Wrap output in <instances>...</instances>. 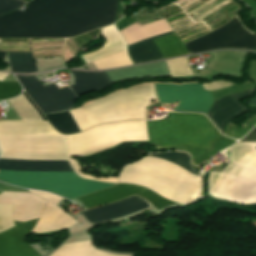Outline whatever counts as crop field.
Listing matches in <instances>:
<instances>
[{"label": "crop field", "instance_id": "obj_27", "mask_svg": "<svg viewBox=\"0 0 256 256\" xmlns=\"http://www.w3.org/2000/svg\"><path fill=\"white\" fill-rule=\"evenodd\" d=\"M229 85H233V83L228 82V81H222V80H218V81H214L211 83H207V84H203L204 89L206 90H216L225 86H229Z\"/></svg>", "mask_w": 256, "mask_h": 256}, {"label": "crop field", "instance_id": "obj_12", "mask_svg": "<svg viewBox=\"0 0 256 256\" xmlns=\"http://www.w3.org/2000/svg\"><path fill=\"white\" fill-rule=\"evenodd\" d=\"M133 194L142 196L143 198L151 202L157 210L175 203L156 195L155 193L146 188L121 183L110 189L100 191L88 196L80 197V200L89 209L98 205L129 197Z\"/></svg>", "mask_w": 256, "mask_h": 256}, {"label": "crop field", "instance_id": "obj_1", "mask_svg": "<svg viewBox=\"0 0 256 256\" xmlns=\"http://www.w3.org/2000/svg\"><path fill=\"white\" fill-rule=\"evenodd\" d=\"M117 0H33L0 17V38L71 37L113 22Z\"/></svg>", "mask_w": 256, "mask_h": 256}, {"label": "crop field", "instance_id": "obj_28", "mask_svg": "<svg viewBox=\"0 0 256 256\" xmlns=\"http://www.w3.org/2000/svg\"><path fill=\"white\" fill-rule=\"evenodd\" d=\"M241 142H256V126L238 143Z\"/></svg>", "mask_w": 256, "mask_h": 256}, {"label": "crop field", "instance_id": "obj_7", "mask_svg": "<svg viewBox=\"0 0 256 256\" xmlns=\"http://www.w3.org/2000/svg\"><path fill=\"white\" fill-rule=\"evenodd\" d=\"M69 71L74 85L60 89L54 84L43 87L34 75L16 77L44 115L72 109L76 96L112 86L105 72Z\"/></svg>", "mask_w": 256, "mask_h": 256}, {"label": "crop field", "instance_id": "obj_24", "mask_svg": "<svg viewBox=\"0 0 256 256\" xmlns=\"http://www.w3.org/2000/svg\"><path fill=\"white\" fill-rule=\"evenodd\" d=\"M21 93L18 82H0V99L15 97Z\"/></svg>", "mask_w": 256, "mask_h": 256}, {"label": "crop field", "instance_id": "obj_17", "mask_svg": "<svg viewBox=\"0 0 256 256\" xmlns=\"http://www.w3.org/2000/svg\"><path fill=\"white\" fill-rule=\"evenodd\" d=\"M51 256H127L116 255L97 251L92 245V241H83L62 245Z\"/></svg>", "mask_w": 256, "mask_h": 256}, {"label": "crop field", "instance_id": "obj_34", "mask_svg": "<svg viewBox=\"0 0 256 256\" xmlns=\"http://www.w3.org/2000/svg\"><path fill=\"white\" fill-rule=\"evenodd\" d=\"M24 1H27V2H29L30 0H24Z\"/></svg>", "mask_w": 256, "mask_h": 256}, {"label": "crop field", "instance_id": "obj_29", "mask_svg": "<svg viewBox=\"0 0 256 256\" xmlns=\"http://www.w3.org/2000/svg\"><path fill=\"white\" fill-rule=\"evenodd\" d=\"M0 191L27 192L24 189L15 188V187L4 185V184H1V183H0Z\"/></svg>", "mask_w": 256, "mask_h": 256}, {"label": "crop field", "instance_id": "obj_20", "mask_svg": "<svg viewBox=\"0 0 256 256\" xmlns=\"http://www.w3.org/2000/svg\"><path fill=\"white\" fill-rule=\"evenodd\" d=\"M45 117L54 128H56L58 131L64 134L79 131V129L77 128L76 124L74 123L68 112L50 114L46 115Z\"/></svg>", "mask_w": 256, "mask_h": 256}, {"label": "crop field", "instance_id": "obj_2", "mask_svg": "<svg viewBox=\"0 0 256 256\" xmlns=\"http://www.w3.org/2000/svg\"><path fill=\"white\" fill-rule=\"evenodd\" d=\"M189 168L190 156L182 152L150 153ZM147 155L125 166L119 182L147 187L153 192L175 202L186 203L199 193L200 175L160 157Z\"/></svg>", "mask_w": 256, "mask_h": 256}, {"label": "crop field", "instance_id": "obj_14", "mask_svg": "<svg viewBox=\"0 0 256 256\" xmlns=\"http://www.w3.org/2000/svg\"><path fill=\"white\" fill-rule=\"evenodd\" d=\"M244 112H246V108L229 95L215 102L208 111L207 116L218 130L223 132L227 122L243 115Z\"/></svg>", "mask_w": 256, "mask_h": 256}, {"label": "crop field", "instance_id": "obj_31", "mask_svg": "<svg viewBox=\"0 0 256 256\" xmlns=\"http://www.w3.org/2000/svg\"><path fill=\"white\" fill-rule=\"evenodd\" d=\"M24 95V97L27 99V101L31 104V106L35 109V111L40 115L41 118H43L44 116L40 113V111L34 106V104L30 101V99L28 98V96L25 93H22Z\"/></svg>", "mask_w": 256, "mask_h": 256}, {"label": "crop field", "instance_id": "obj_18", "mask_svg": "<svg viewBox=\"0 0 256 256\" xmlns=\"http://www.w3.org/2000/svg\"><path fill=\"white\" fill-rule=\"evenodd\" d=\"M233 143H235L234 140L221 135L220 138L211 145V149L210 150L207 149L209 150L208 152H206L207 150L188 148V147H179V148H176V150H181V151L190 153V155H192V163L206 152L202 157H200L196 162L193 163L195 165H198V164H201L202 161L212 157L214 154L220 152L226 147L232 145Z\"/></svg>", "mask_w": 256, "mask_h": 256}, {"label": "crop field", "instance_id": "obj_32", "mask_svg": "<svg viewBox=\"0 0 256 256\" xmlns=\"http://www.w3.org/2000/svg\"><path fill=\"white\" fill-rule=\"evenodd\" d=\"M8 74L7 73H1L0 72V81L5 78Z\"/></svg>", "mask_w": 256, "mask_h": 256}, {"label": "crop field", "instance_id": "obj_6", "mask_svg": "<svg viewBox=\"0 0 256 256\" xmlns=\"http://www.w3.org/2000/svg\"><path fill=\"white\" fill-rule=\"evenodd\" d=\"M147 125L150 143L158 149L182 145L207 149L221 135L202 114L169 113L167 119Z\"/></svg>", "mask_w": 256, "mask_h": 256}, {"label": "crop field", "instance_id": "obj_3", "mask_svg": "<svg viewBox=\"0 0 256 256\" xmlns=\"http://www.w3.org/2000/svg\"><path fill=\"white\" fill-rule=\"evenodd\" d=\"M0 169L31 172H73L68 161L0 159ZM0 180L12 184L49 190L70 199L109 188L115 184L90 181L75 173H28L0 171Z\"/></svg>", "mask_w": 256, "mask_h": 256}, {"label": "crop field", "instance_id": "obj_16", "mask_svg": "<svg viewBox=\"0 0 256 256\" xmlns=\"http://www.w3.org/2000/svg\"><path fill=\"white\" fill-rule=\"evenodd\" d=\"M173 33L168 31L128 46V53L134 64L162 59L163 56L151 40Z\"/></svg>", "mask_w": 256, "mask_h": 256}, {"label": "crop field", "instance_id": "obj_30", "mask_svg": "<svg viewBox=\"0 0 256 256\" xmlns=\"http://www.w3.org/2000/svg\"><path fill=\"white\" fill-rule=\"evenodd\" d=\"M251 90L250 91H246V92H242V93H238V94H234V97L237 99V101L243 99V98H247V97H251Z\"/></svg>", "mask_w": 256, "mask_h": 256}, {"label": "crop field", "instance_id": "obj_10", "mask_svg": "<svg viewBox=\"0 0 256 256\" xmlns=\"http://www.w3.org/2000/svg\"><path fill=\"white\" fill-rule=\"evenodd\" d=\"M121 141H148L146 121H123L98 125L67 136L69 157L85 156Z\"/></svg>", "mask_w": 256, "mask_h": 256}, {"label": "crop field", "instance_id": "obj_11", "mask_svg": "<svg viewBox=\"0 0 256 256\" xmlns=\"http://www.w3.org/2000/svg\"><path fill=\"white\" fill-rule=\"evenodd\" d=\"M159 102L171 104L178 102L174 110L202 111L207 113L213 105L212 93L204 91L200 83L178 85L153 84Z\"/></svg>", "mask_w": 256, "mask_h": 256}, {"label": "crop field", "instance_id": "obj_25", "mask_svg": "<svg viewBox=\"0 0 256 256\" xmlns=\"http://www.w3.org/2000/svg\"><path fill=\"white\" fill-rule=\"evenodd\" d=\"M26 2L20 0H0V15H4L14 9H18Z\"/></svg>", "mask_w": 256, "mask_h": 256}, {"label": "crop field", "instance_id": "obj_33", "mask_svg": "<svg viewBox=\"0 0 256 256\" xmlns=\"http://www.w3.org/2000/svg\"><path fill=\"white\" fill-rule=\"evenodd\" d=\"M5 53L6 52H0V58H4L5 57Z\"/></svg>", "mask_w": 256, "mask_h": 256}, {"label": "crop field", "instance_id": "obj_22", "mask_svg": "<svg viewBox=\"0 0 256 256\" xmlns=\"http://www.w3.org/2000/svg\"><path fill=\"white\" fill-rule=\"evenodd\" d=\"M187 61H188L187 57L166 61L168 65L170 77L192 75L190 69L186 66Z\"/></svg>", "mask_w": 256, "mask_h": 256}, {"label": "crop field", "instance_id": "obj_19", "mask_svg": "<svg viewBox=\"0 0 256 256\" xmlns=\"http://www.w3.org/2000/svg\"><path fill=\"white\" fill-rule=\"evenodd\" d=\"M7 56L12 72H37L31 52H7Z\"/></svg>", "mask_w": 256, "mask_h": 256}, {"label": "crop field", "instance_id": "obj_9", "mask_svg": "<svg viewBox=\"0 0 256 256\" xmlns=\"http://www.w3.org/2000/svg\"><path fill=\"white\" fill-rule=\"evenodd\" d=\"M28 191L48 202L41 213L39 221L35 219L0 233V256H39L25 242L37 221L38 223L32 233L64 229L77 222L71 216L55 207L62 198L45 192Z\"/></svg>", "mask_w": 256, "mask_h": 256}, {"label": "crop field", "instance_id": "obj_23", "mask_svg": "<svg viewBox=\"0 0 256 256\" xmlns=\"http://www.w3.org/2000/svg\"><path fill=\"white\" fill-rule=\"evenodd\" d=\"M13 205H0V232L13 227Z\"/></svg>", "mask_w": 256, "mask_h": 256}, {"label": "crop field", "instance_id": "obj_4", "mask_svg": "<svg viewBox=\"0 0 256 256\" xmlns=\"http://www.w3.org/2000/svg\"><path fill=\"white\" fill-rule=\"evenodd\" d=\"M256 143L235 145L231 162L221 172L208 176L209 194L237 204L256 203Z\"/></svg>", "mask_w": 256, "mask_h": 256}, {"label": "crop field", "instance_id": "obj_15", "mask_svg": "<svg viewBox=\"0 0 256 256\" xmlns=\"http://www.w3.org/2000/svg\"><path fill=\"white\" fill-rule=\"evenodd\" d=\"M101 34L105 40L104 45L94 52L82 55L86 63L94 61L126 46L124 39L117 31L114 24L102 28Z\"/></svg>", "mask_w": 256, "mask_h": 256}, {"label": "crop field", "instance_id": "obj_8", "mask_svg": "<svg viewBox=\"0 0 256 256\" xmlns=\"http://www.w3.org/2000/svg\"><path fill=\"white\" fill-rule=\"evenodd\" d=\"M164 58L218 48H242L255 51L256 34L237 15L222 27L185 43L175 33L153 40Z\"/></svg>", "mask_w": 256, "mask_h": 256}, {"label": "crop field", "instance_id": "obj_26", "mask_svg": "<svg viewBox=\"0 0 256 256\" xmlns=\"http://www.w3.org/2000/svg\"><path fill=\"white\" fill-rule=\"evenodd\" d=\"M70 165L72 166V168L75 170L76 174L84 177L86 179H91V180H96V181H107V182H114L117 183V179L118 178H99V177H94V176H89V175H85L82 173L80 167L78 166V164L74 161L73 158H69L68 159Z\"/></svg>", "mask_w": 256, "mask_h": 256}, {"label": "crop field", "instance_id": "obj_13", "mask_svg": "<svg viewBox=\"0 0 256 256\" xmlns=\"http://www.w3.org/2000/svg\"><path fill=\"white\" fill-rule=\"evenodd\" d=\"M148 206L151 205L145 200L137 196H132L127 199L115 202L113 204L86 210L82 212V215L85 217L88 223L100 222L113 219L128 213L136 212Z\"/></svg>", "mask_w": 256, "mask_h": 256}, {"label": "crop field", "instance_id": "obj_21", "mask_svg": "<svg viewBox=\"0 0 256 256\" xmlns=\"http://www.w3.org/2000/svg\"><path fill=\"white\" fill-rule=\"evenodd\" d=\"M256 124V115H252L240 127L229 123L224 131V135L235 139L242 138Z\"/></svg>", "mask_w": 256, "mask_h": 256}, {"label": "crop field", "instance_id": "obj_5", "mask_svg": "<svg viewBox=\"0 0 256 256\" xmlns=\"http://www.w3.org/2000/svg\"><path fill=\"white\" fill-rule=\"evenodd\" d=\"M155 93L150 84L113 93L69 111L80 131L91 126L128 119H145L144 109Z\"/></svg>", "mask_w": 256, "mask_h": 256}]
</instances>
